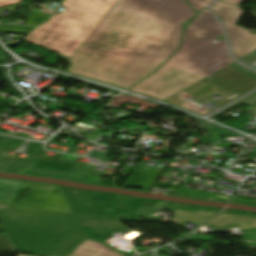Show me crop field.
Segmentation results:
<instances>
[{
	"mask_svg": "<svg viewBox=\"0 0 256 256\" xmlns=\"http://www.w3.org/2000/svg\"><path fill=\"white\" fill-rule=\"evenodd\" d=\"M195 14L184 0H118L67 71L127 89L179 49L180 23Z\"/></svg>",
	"mask_w": 256,
	"mask_h": 256,
	"instance_id": "1",
	"label": "crop field"
},
{
	"mask_svg": "<svg viewBox=\"0 0 256 256\" xmlns=\"http://www.w3.org/2000/svg\"><path fill=\"white\" fill-rule=\"evenodd\" d=\"M221 26L206 8L185 30L182 46L157 72L130 91L165 100L234 62L225 43Z\"/></svg>",
	"mask_w": 256,
	"mask_h": 256,
	"instance_id": "2",
	"label": "crop field"
},
{
	"mask_svg": "<svg viewBox=\"0 0 256 256\" xmlns=\"http://www.w3.org/2000/svg\"><path fill=\"white\" fill-rule=\"evenodd\" d=\"M0 221L15 248L30 254L67 256L85 238L73 214L1 208Z\"/></svg>",
	"mask_w": 256,
	"mask_h": 256,
	"instance_id": "3",
	"label": "crop field"
},
{
	"mask_svg": "<svg viewBox=\"0 0 256 256\" xmlns=\"http://www.w3.org/2000/svg\"><path fill=\"white\" fill-rule=\"evenodd\" d=\"M116 1L65 0L62 6L68 9L66 12L54 15L23 40L70 58Z\"/></svg>",
	"mask_w": 256,
	"mask_h": 256,
	"instance_id": "4",
	"label": "crop field"
},
{
	"mask_svg": "<svg viewBox=\"0 0 256 256\" xmlns=\"http://www.w3.org/2000/svg\"><path fill=\"white\" fill-rule=\"evenodd\" d=\"M61 188L79 220H120V215L142 218L156 202L116 194L71 189L62 186ZM107 207H113L115 212L104 213L102 208Z\"/></svg>",
	"mask_w": 256,
	"mask_h": 256,
	"instance_id": "5",
	"label": "crop field"
},
{
	"mask_svg": "<svg viewBox=\"0 0 256 256\" xmlns=\"http://www.w3.org/2000/svg\"><path fill=\"white\" fill-rule=\"evenodd\" d=\"M2 208L72 213L59 187L39 182H25Z\"/></svg>",
	"mask_w": 256,
	"mask_h": 256,
	"instance_id": "6",
	"label": "crop field"
},
{
	"mask_svg": "<svg viewBox=\"0 0 256 256\" xmlns=\"http://www.w3.org/2000/svg\"><path fill=\"white\" fill-rule=\"evenodd\" d=\"M212 9L226 24L234 56L240 59L256 50V32L254 35L250 33L256 30H247L236 25L243 12L241 7L218 1Z\"/></svg>",
	"mask_w": 256,
	"mask_h": 256,
	"instance_id": "7",
	"label": "crop field"
},
{
	"mask_svg": "<svg viewBox=\"0 0 256 256\" xmlns=\"http://www.w3.org/2000/svg\"><path fill=\"white\" fill-rule=\"evenodd\" d=\"M205 80L213 82L240 95L256 88L255 79L230 66L205 78Z\"/></svg>",
	"mask_w": 256,
	"mask_h": 256,
	"instance_id": "8",
	"label": "crop field"
},
{
	"mask_svg": "<svg viewBox=\"0 0 256 256\" xmlns=\"http://www.w3.org/2000/svg\"><path fill=\"white\" fill-rule=\"evenodd\" d=\"M70 256H124L111 248L87 239Z\"/></svg>",
	"mask_w": 256,
	"mask_h": 256,
	"instance_id": "9",
	"label": "crop field"
},
{
	"mask_svg": "<svg viewBox=\"0 0 256 256\" xmlns=\"http://www.w3.org/2000/svg\"><path fill=\"white\" fill-rule=\"evenodd\" d=\"M41 156L42 154L35 156L30 161L28 166L70 172L71 168L74 165V164H70L62 161H57L58 158L61 156V154H58V153H56L52 159L44 158Z\"/></svg>",
	"mask_w": 256,
	"mask_h": 256,
	"instance_id": "10",
	"label": "crop field"
},
{
	"mask_svg": "<svg viewBox=\"0 0 256 256\" xmlns=\"http://www.w3.org/2000/svg\"><path fill=\"white\" fill-rule=\"evenodd\" d=\"M168 209L172 210L175 213L171 219V222L175 224L185 220L186 218H190L195 221L203 223L204 221L217 215V212L207 211V210H199L196 212H186L180 208H176L172 206H169Z\"/></svg>",
	"mask_w": 256,
	"mask_h": 256,
	"instance_id": "11",
	"label": "crop field"
},
{
	"mask_svg": "<svg viewBox=\"0 0 256 256\" xmlns=\"http://www.w3.org/2000/svg\"><path fill=\"white\" fill-rule=\"evenodd\" d=\"M241 223V230L256 227V218L225 213L206 224Z\"/></svg>",
	"mask_w": 256,
	"mask_h": 256,
	"instance_id": "12",
	"label": "crop field"
},
{
	"mask_svg": "<svg viewBox=\"0 0 256 256\" xmlns=\"http://www.w3.org/2000/svg\"><path fill=\"white\" fill-rule=\"evenodd\" d=\"M76 165H74L73 169L71 170L70 173H66V172H59V171H51V170H44V169H37V168H30L27 167L26 170L24 172H28L30 170L35 171L34 173L36 174H42V175H46V173H51V174H59V175H69V178L75 177V178H79L82 180H86L87 177L92 178L93 180L102 182L103 178L100 176H94V175H89V174H83V173H77L74 172L76 169Z\"/></svg>",
	"mask_w": 256,
	"mask_h": 256,
	"instance_id": "13",
	"label": "crop field"
},
{
	"mask_svg": "<svg viewBox=\"0 0 256 256\" xmlns=\"http://www.w3.org/2000/svg\"><path fill=\"white\" fill-rule=\"evenodd\" d=\"M25 181L0 179V206L17 190Z\"/></svg>",
	"mask_w": 256,
	"mask_h": 256,
	"instance_id": "14",
	"label": "crop field"
},
{
	"mask_svg": "<svg viewBox=\"0 0 256 256\" xmlns=\"http://www.w3.org/2000/svg\"><path fill=\"white\" fill-rule=\"evenodd\" d=\"M28 163L29 161L27 160L0 155V171L24 170Z\"/></svg>",
	"mask_w": 256,
	"mask_h": 256,
	"instance_id": "15",
	"label": "crop field"
},
{
	"mask_svg": "<svg viewBox=\"0 0 256 256\" xmlns=\"http://www.w3.org/2000/svg\"><path fill=\"white\" fill-rule=\"evenodd\" d=\"M88 238L104 239L124 228L83 227Z\"/></svg>",
	"mask_w": 256,
	"mask_h": 256,
	"instance_id": "16",
	"label": "crop field"
},
{
	"mask_svg": "<svg viewBox=\"0 0 256 256\" xmlns=\"http://www.w3.org/2000/svg\"><path fill=\"white\" fill-rule=\"evenodd\" d=\"M50 15L31 11L25 24L39 25L49 18Z\"/></svg>",
	"mask_w": 256,
	"mask_h": 256,
	"instance_id": "17",
	"label": "crop field"
},
{
	"mask_svg": "<svg viewBox=\"0 0 256 256\" xmlns=\"http://www.w3.org/2000/svg\"><path fill=\"white\" fill-rule=\"evenodd\" d=\"M187 1L198 12L203 6H205L211 0H187Z\"/></svg>",
	"mask_w": 256,
	"mask_h": 256,
	"instance_id": "18",
	"label": "crop field"
},
{
	"mask_svg": "<svg viewBox=\"0 0 256 256\" xmlns=\"http://www.w3.org/2000/svg\"><path fill=\"white\" fill-rule=\"evenodd\" d=\"M170 204H168L167 202H157L153 205V207L150 210L153 211H163L164 209H166Z\"/></svg>",
	"mask_w": 256,
	"mask_h": 256,
	"instance_id": "19",
	"label": "crop field"
},
{
	"mask_svg": "<svg viewBox=\"0 0 256 256\" xmlns=\"http://www.w3.org/2000/svg\"><path fill=\"white\" fill-rule=\"evenodd\" d=\"M19 1H21V0H0V7L10 5L13 3H17Z\"/></svg>",
	"mask_w": 256,
	"mask_h": 256,
	"instance_id": "20",
	"label": "crop field"
},
{
	"mask_svg": "<svg viewBox=\"0 0 256 256\" xmlns=\"http://www.w3.org/2000/svg\"><path fill=\"white\" fill-rule=\"evenodd\" d=\"M222 2L230 3L239 6V4L244 0H220Z\"/></svg>",
	"mask_w": 256,
	"mask_h": 256,
	"instance_id": "21",
	"label": "crop field"
},
{
	"mask_svg": "<svg viewBox=\"0 0 256 256\" xmlns=\"http://www.w3.org/2000/svg\"><path fill=\"white\" fill-rule=\"evenodd\" d=\"M159 253H160V251L156 252V256H163V255H161Z\"/></svg>",
	"mask_w": 256,
	"mask_h": 256,
	"instance_id": "22",
	"label": "crop field"
},
{
	"mask_svg": "<svg viewBox=\"0 0 256 256\" xmlns=\"http://www.w3.org/2000/svg\"><path fill=\"white\" fill-rule=\"evenodd\" d=\"M18 256H28V255H21V254H18Z\"/></svg>",
	"mask_w": 256,
	"mask_h": 256,
	"instance_id": "23",
	"label": "crop field"
},
{
	"mask_svg": "<svg viewBox=\"0 0 256 256\" xmlns=\"http://www.w3.org/2000/svg\"><path fill=\"white\" fill-rule=\"evenodd\" d=\"M55 1H59V2H62L63 0H55Z\"/></svg>",
	"mask_w": 256,
	"mask_h": 256,
	"instance_id": "24",
	"label": "crop field"
}]
</instances>
